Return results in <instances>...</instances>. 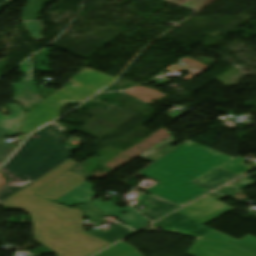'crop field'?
Returning a JSON list of instances; mask_svg holds the SVG:
<instances>
[{
  "instance_id": "obj_1",
  "label": "crop field",
  "mask_w": 256,
  "mask_h": 256,
  "mask_svg": "<svg viewBox=\"0 0 256 256\" xmlns=\"http://www.w3.org/2000/svg\"><path fill=\"white\" fill-rule=\"evenodd\" d=\"M232 159L234 158L187 141L139 175L160 182L146 192L181 206L209 191L190 183L191 181Z\"/></svg>"
},
{
  "instance_id": "obj_2",
  "label": "crop field",
  "mask_w": 256,
  "mask_h": 256,
  "mask_svg": "<svg viewBox=\"0 0 256 256\" xmlns=\"http://www.w3.org/2000/svg\"><path fill=\"white\" fill-rule=\"evenodd\" d=\"M62 130L64 128L53 123L31 135L12 159L0 168V172L10 179L0 191V202L71 157L63 144Z\"/></svg>"
},
{
  "instance_id": "obj_3",
  "label": "crop field",
  "mask_w": 256,
  "mask_h": 256,
  "mask_svg": "<svg viewBox=\"0 0 256 256\" xmlns=\"http://www.w3.org/2000/svg\"><path fill=\"white\" fill-rule=\"evenodd\" d=\"M37 242L56 256H88L110 243L84 232L83 213L69 209L33 223Z\"/></svg>"
},
{
  "instance_id": "obj_4",
  "label": "crop field",
  "mask_w": 256,
  "mask_h": 256,
  "mask_svg": "<svg viewBox=\"0 0 256 256\" xmlns=\"http://www.w3.org/2000/svg\"><path fill=\"white\" fill-rule=\"evenodd\" d=\"M92 197H94L92 186L88 181H86L71 192L56 200V202L75 206L90 201L89 199ZM92 203L96 204L102 211L118 218L121 223L128 225L134 229H138L150 222L130 206L124 208H119L117 206L107 208L99 202ZM124 211H126L127 213L120 214Z\"/></svg>"
},
{
  "instance_id": "obj_5",
  "label": "crop field",
  "mask_w": 256,
  "mask_h": 256,
  "mask_svg": "<svg viewBox=\"0 0 256 256\" xmlns=\"http://www.w3.org/2000/svg\"><path fill=\"white\" fill-rule=\"evenodd\" d=\"M0 205L29 213L33 222L69 209L22 190L0 203Z\"/></svg>"
},
{
  "instance_id": "obj_6",
  "label": "crop field",
  "mask_w": 256,
  "mask_h": 256,
  "mask_svg": "<svg viewBox=\"0 0 256 256\" xmlns=\"http://www.w3.org/2000/svg\"><path fill=\"white\" fill-rule=\"evenodd\" d=\"M20 71L24 73V78H20L19 83H13V101L18 102L22 109L27 111L42 100L35 81L33 58L19 65Z\"/></svg>"
},
{
  "instance_id": "obj_7",
  "label": "crop field",
  "mask_w": 256,
  "mask_h": 256,
  "mask_svg": "<svg viewBox=\"0 0 256 256\" xmlns=\"http://www.w3.org/2000/svg\"><path fill=\"white\" fill-rule=\"evenodd\" d=\"M68 102H73L72 97L67 96L66 93L58 91L44 102L27 113L24 124L20 130L22 134H29L40 127L47 124L46 120L59 107Z\"/></svg>"
},
{
  "instance_id": "obj_8",
  "label": "crop field",
  "mask_w": 256,
  "mask_h": 256,
  "mask_svg": "<svg viewBox=\"0 0 256 256\" xmlns=\"http://www.w3.org/2000/svg\"><path fill=\"white\" fill-rule=\"evenodd\" d=\"M232 209L234 208L206 195L177 212L205 224Z\"/></svg>"
},
{
  "instance_id": "obj_9",
  "label": "crop field",
  "mask_w": 256,
  "mask_h": 256,
  "mask_svg": "<svg viewBox=\"0 0 256 256\" xmlns=\"http://www.w3.org/2000/svg\"><path fill=\"white\" fill-rule=\"evenodd\" d=\"M186 254L192 256H255L231 243L196 239Z\"/></svg>"
},
{
  "instance_id": "obj_10",
  "label": "crop field",
  "mask_w": 256,
  "mask_h": 256,
  "mask_svg": "<svg viewBox=\"0 0 256 256\" xmlns=\"http://www.w3.org/2000/svg\"><path fill=\"white\" fill-rule=\"evenodd\" d=\"M163 229V231L179 232L191 236L199 237L203 234L215 231L214 229L185 217L177 212L153 224Z\"/></svg>"
},
{
  "instance_id": "obj_11",
  "label": "crop field",
  "mask_w": 256,
  "mask_h": 256,
  "mask_svg": "<svg viewBox=\"0 0 256 256\" xmlns=\"http://www.w3.org/2000/svg\"><path fill=\"white\" fill-rule=\"evenodd\" d=\"M7 105L11 111V115L4 117L2 113H0V140L6 136L12 137L17 134L25 115V112L18 103ZM14 150V148L0 144V161H6Z\"/></svg>"
},
{
  "instance_id": "obj_12",
  "label": "crop field",
  "mask_w": 256,
  "mask_h": 256,
  "mask_svg": "<svg viewBox=\"0 0 256 256\" xmlns=\"http://www.w3.org/2000/svg\"><path fill=\"white\" fill-rule=\"evenodd\" d=\"M85 181L84 178L69 171L38 191L36 194L55 201Z\"/></svg>"
},
{
  "instance_id": "obj_13",
  "label": "crop field",
  "mask_w": 256,
  "mask_h": 256,
  "mask_svg": "<svg viewBox=\"0 0 256 256\" xmlns=\"http://www.w3.org/2000/svg\"><path fill=\"white\" fill-rule=\"evenodd\" d=\"M137 200L150 205L149 207L145 208L140 212L153 220H156L179 207L158 197H155L153 195H147L144 193L139 195Z\"/></svg>"
},
{
  "instance_id": "obj_14",
  "label": "crop field",
  "mask_w": 256,
  "mask_h": 256,
  "mask_svg": "<svg viewBox=\"0 0 256 256\" xmlns=\"http://www.w3.org/2000/svg\"><path fill=\"white\" fill-rule=\"evenodd\" d=\"M76 163L70 158L65 163L60 165L59 167H55L56 169H52L53 171L49 172L39 180L35 181L33 184H31L29 187H25L24 191L35 193L62 174L66 173L67 171L71 170Z\"/></svg>"
},
{
  "instance_id": "obj_15",
  "label": "crop field",
  "mask_w": 256,
  "mask_h": 256,
  "mask_svg": "<svg viewBox=\"0 0 256 256\" xmlns=\"http://www.w3.org/2000/svg\"><path fill=\"white\" fill-rule=\"evenodd\" d=\"M235 176L236 175L232 173H229L227 171H224L218 168L206 174L205 176L193 181L192 183L211 190Z\"/></svg>"
},
{
  "instance_id": "obj_16",
  "label": "crop field",
  "mask_w": 256,
  "mask_h": 256,
  "mask_svg": "<svg viewBox=\"0 0 256 256\" xmlns=\"http://www.w3.org/2000/svg\"><path fill=\"white\" fill-rule=\"evenodd\" d=\"M201 238L231 242V243L256 255V238H254L250 235L236 241L218 231H215V232L203 235V236H201Z\"/></svg>"
},
{
  "instance_id": "obj_17",
  "label": "crop field",
  "mask_w": 256,
  "mask_h": 256,
  "mask_svg": "<svg viewBox=\"0 0 256 256\" xmlns=\"http://www.w3.org/2000/svg\"><path fill=\"white\" fill-rule=\"evenodd\" d=\"M132 231L133 230L117 223L114 226H112L111 230H109L107 232H100V231L92 229V230L88 231V233L112 243Z\"/></svg>"
},
{
  "instance_id": "obj_18",
  "label": "crop field",
  "mask_w": 256,
  "mask_h": 256,
  "mask_svg": "<svg viewBox=\"0 0 256 256\" xmlns=\"http://www.w3.org/2000/svg\"><path fill=\"white\" fill-rule=\"evenodd\" d=\"M78 80L84 82L89 86L93 85L99 92L103 88L107 87L113 80L103 76L101 73L94 71L84 75L76 76Z\"/></svg>"
},
{
  "instance_id": "obj_19",
  "label": "crop field",
  "mask_w": 256,
  "mask_h": 256,
  "mask_svg": "<svg viewBox=\"0 0 256 256\" xmlns=\"http://www.w3.org/2000/svg\"><path fill=\"white\" fill-rule=\"evenodd\" d=\"M96 256H142L137 252L136 248L130 246L124 241H121L112 247L104 250Z\"/></svg>"
},
{
  "instance_id": "obj_20",
  "label": "crop field",
  "mask_w": 256,
  "mask_h": 256,
  "mask_svg": "<svg viewBox=\"0 0 256 256\" xmlns=\"http://www.w3.org/2000/svg\"><path fill=\"white\" fill-rule=\"evenodd\" d=\"M215 0H171L168 3L199 12Z\"/></svg>"
},
{
  "instance_id": "obj_21",
  "label": "crop field",
  "mask_w": 256,
  "mask_h": 256,
  "mask_svg": "<svg viewBox=\"0 0 256 256\" xmlns=\"http://www.w3.org/2000/svg\"><path fill=\"white\" fill-rule=\"evenodd\" d=\"M28 3L25 6L20 20H36L40 12V7L43 1L46 0H25Z\"/></svg>"
},
{
  "instance_id": "obj_22",
  "label": "crop field",
  "mask_w": 256,
  "mask_h": 256,
  "mask_svg": "<svg viewBox=\"0 0 256 256\" xmlns=\"http://www.w3.org/2000/svg\"><path fill=\"white\" fill-rule=\"evenodd\" d=\"M62 91H65L67 95L73 96L74 102H77L84 97H91L97 93L93 86L88 88L87 85L74 88H63Z\"/></svg>"
},
{
  "instance_id": "obj_23",
  "label": "crop field",
  "mask_w": 256,
  "mask_h": 256,
  "mask_svg": "<svg viewBox=\"0 0 256 256\" xmlns=\"http://www.w3.org/2000/svg\"><path fill=\"white\" fill-rule=\"evenodd\" d=\"M243 161H245V159L237 157L234 160L224 164L220 168L227 170L229 172H232L236 175H240V174L252 169L248 165L242 163Z\"/></svg>"
},
{
  "instance_id": "obj_24",
  "label": "crop field",
  "mask_w": 256,
  "mask_h": 256,
  "mask_svg": "<svg viewBox=\"0 0 256 256\" xmlns=\"http://www.w3.org/2000/svg\"><path fill=\"white\" fill-rule=\"evenodd\" d=\"M80 208L86 212V215L95 225L102 224L101 217L108 215L102 212L98 207H96L92 203L80 206Z\"/></svg>"
},
{
  "instance_id": "obj_25",
  "label": "crop field",
  "mask_w": 256,
  "mask_h": 256,
  "mask_svg": "<svg viewBox=\"0 0 256 256\" xmlns=\"http://www.w3.org/2000/svg\"><path fill=\"white\" fill-rule=\"evenodd\" d=\"M21 22L26 27L29 35L32 37L33 40L44 39L41 36V32L44 28L41 21H21Z\"/></svg>"
},
{
  "instance_id": "obj_26",
  "label": "crop field",
  "mask_w": 256,
  "mask_h": 256,
  "mask_svg": "<svg viewBox=\"0 0 256 256\" xmlns=\"http://www.w3.org/2000/svg\"><path fill=\"white\" fill-rule=\"evenodd\" d=\"M174 142H176V140L171 136L169 139L163 141L162 143L155 146L154 148H152L151 150L147 151L146 153H144L143 155H141L139 157L146 160V159L150 158L151 156H153L154 154L158 153L159 151L163 150L164 148L168 147L169 145H171Z\"/></svg>"
},
{
  "instance_id": "obj_27",
  "label": "crop field",
  "mask_w": 256,
  "mask_h": 256,
  "mask_svg": "<svg viewBox=\"0 0 256 256\" xmlns=\"http://www.w3.org/2000/svg\"><path fill=\"white\" fill-rule=\"evenodd\" d=\"M48 50H42L40 53L35 55L36 60V70L42 71V72H51L49 69V59H48ZM40 60H43L46 64V66H41Z\"/></svg>"
},
{
  "instance_id": "obj_28",
  "label": "crop field",
  "mask_w": 256,
  "mask_h": 256,
  "mask_svg": "<svg viewBox=\"0 0 256 256\" xmlns=\"http://www.w3.org/2000/svg\"><path fill=\"white\" fill-rule=\"evenodd\" d=\"M252 176H256V173H253L251 175H247V176H244L228 185H231V186H234V187H237V188H240V189H243V188H247L251 185L254 184L253 181H249L247 180L248 178L252 177Z\"/></svg>"
},
{
  "instance_id": "obj_29",
  "label": "crop field",
  "mask_w": 256,
  "mask_h": 256,
  "mask_svg": "<svg viewBox=\"0 0 256 256\" xmlns=\"http://www.w3.org/2000/svg\"><path fill=\"white\" fill-rule=\"evenodd\" d=\"M216 192H219V193H222V194H225V195H228V196L232 197L235 193H237V192L242 193L244 191L226 185V186L222 187L221 189L217 190Z\"/></svg>"
},
{
  "instance_id": "obj_30",
  "label": "crop field",
  "mask_w": 256,
  "mask_h": 256,
  "mask_svg": "<svg viewBox=\"0 0 256 256\" xmlns=\"http://www.w3.org/2000/svg\"><path fill=\"white\" fill-rule=\"evenodd\" d=\"M39 89L41 91L43 98H47L57 91L55 89H46L45 84L42 86H39Z\"/></svg>"
},
{
  "instance_id": "obj_31",
  "label": "crop field",
  "mask_w": 256,
  "mask_h": 256,
  "mask_svg": "<svg viewBox=\"0 0 256 256\" xmlns=\"http://www.w3.org/2000/svg\"><path fill=\"white\" fill-rule=\"evenodd\" d=\"M63 107H64V106H63ZM61 108H62V107H61ZM61 108H59L58 110H56V111L52 114V116H51L47 121L50 122V121H52L53 119L59 117V111H60Z\"/></svg>"
},
{
  "instance_id": "obj_32",
  "label": "crop field",
  "mask_w": 256,
  "mask_h": 256,
  "mask_svg": "<svg viewBox=\"0 0 256 256\" xmlns=\"http://www.w3.org/2000/svg\"><path fill=\"white\" fill-rule=\"evenodd\" d=\"M101 203H103V204L106 205L107 207L113 206V204H112L111 201H108V202H101Z\"/></svg>"
},
{
  "instance_id": "obj_33",
  "label": "crop field",
  "mask_w": 256,
  "mask_h": 256,
  "mask_svg": "<svg viewBox=\"0 0 256 256\" xmlns=\"http://www.w3.org/2000/svg\"><path fill=\"white\" fill-rule=\"evenodd\" d=\"M105 76H107V75H105ZM107 77H109V78H111V79H113V80L115 79V77H111V76H107Z\"/></svg>"
},
{
  "instance_id": "obj_34",
  "label": "crop field",
  "mask_w": 256,
  "mask_h": 256,
  "mask_svg": "<svg viewBox=\"0 0 256 256\" xmlns=\"http://www.w3.org/2000/svg\"><path fill=\"white\" fill-rule=\"evenodd\" d=\"M0 165H1V163H0Z\"/></svg>"
},
{
  "instance_id": "obj_35",
  "label": "crop field",
  "mask_w": 256,
  "mask_h": 256,
  "mask_svg": "<svg viewBox=\"0 0 256 256\" xmlns=\"http://www.w3.org/2000/svg\"><path fill=\"white\" fill-rule=\"evenodd\" d=\"M169 1V0H168Z\"/></svg>"
}]
</instances>
